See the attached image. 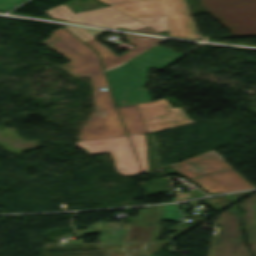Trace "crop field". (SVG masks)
I'll use <instances>...</instances> for the list:
<instances>
[{
  "label": "crop field",
  "mask_w": 256,
  "mask_h": 256,
  "mask_svg": "<svg viewBox=\"0 0 256 256\" xmlns=\"http://www.w3.org/2000/svg\"><path fill=\"white\" fill-rule=\"evenodd\" d=\"M42 43L72 62L60 65L75 77L91 75L95 109L78 135L80 141L126 135L106 86L97 53L79 41L64 28L56 30Z\"/></svg>",
  "instance_id": "obj_1"
},
{
  "label": "crop field",
  "mask_w": 256,
  "mask_h": 256,
  "mask_svg": "<svg viewBox=\"0 0 256 256\" xmlns=\"http://www.w3.org/2000/svg\"><path fill=\"white\" fill-rule=\"evenodd\" d=\"M182 53L174 52L158 45L131 61L106 71L117 106L150 101L147 89H138L146 81V70L159 69L177 59Z\"/></svg>",
  "instance_id": "obj_2"
},
{
  "label": "crop field",
  "mask_w": 256,
  "mask_h": 256,
  "mask_svg": "<svg viewBox=\"0 0 256 256\" xmlns=\"http://www.w3.org/2000/svg\"><path fill=\"white\" fill-rule=\"evenodd\" d=\"M131 16L167 15L168 33L173 36L193 38L185 0H100Z\"/></svg>",
  "instance_id": "obj_3"
},
{
  "label": "crop field",
  "mask_w": 256,
  "mask_h": 256,
  "mask_svg": "<svg viewBox=\"0 0 256 256\" xmlns=\"http://www.w3.org/2000/svg\"><path fill=\"white\" fill-rule=\"evenodd\" d=\"M76 143L89 155L111 153L117 172L124 176L142 173L127 136Z\"/></svg>",
  "instance_id": "obj_4"
},
{
  "label": "crop field",
  "mask_w": 256,
  "mask_h": 256,
  "mask_svg": "<svg viewBox=\"0 0 256 256\" xmlns=\"http://www.w3.org/2000/svg\"><path fill=\"white\" fill-rule=\"evenodd\" d=\"M216 224L222 228L211 242L209 256H250L242 241L236 206L219 215Z\"/></svg>",
  "instance_id": "obj_5"
},
{
  "label": "crop field",
  "mask_w": 256,
  "mask_h": 256,
  "mask_svg": "<svg viewBox=\"0 0 256 256\" xmlns=\"http://www.w3.org/2000/svg\"><path fill=\"white\" fill-rule=\"evenodd\" d=\"M52 18L64 19L73 22L99 25L105 27H121L130 30L145 27L147 25L130 18L111 7L83 11L75 14L64 4L46 11Z\"/></svg>",
  "instance_id": "obj_6"
},
{
  "label": "crop field",
  "mask_w": 256,
  "mask_h": 256,
  "mask_svg": "<svg viewBox=\"0 0 256 256\" xmlns=\"http://www.w3.org/2000/svg\"><path fill=\"white\" fill-rule=\"evenodd\" d=\"M115 224L97 223L89 226L87 233H101L99 243L106 250L108 256H125L122 250H118L125 246L126 252L133 249L141 250L144 243L145 253H150L159 247L163 246L169 241H151V242H135V243H125L128 231L131 225H124L123 229L118 231H110L113 229Z\"/></svg>",
  "instance_id": "obj_7"
},
{
  "label": "crop field",
  "mask_w": 256,
  "mask_h": 256,
  "mask_svg": "<svg viewBox=\"0 0 256 256\" xmlns=\"http://www.w3.org/2000/svg\"><path fill=\"white\" fill-rule=\"evenodd\" d=\"M148 132L192 123L181 108H172L165 99L137 104Z\"/></svg>",
  "instance_id": "obj_8"
},
{
  "label": "crop field",
  "mask_w": 256,
  "mask_h": 256,
  "mask_svg": "<svg viewBox=\"0 0 256 256\" xmlns=\"http://www.w3.org/2000/svg\"><path fill=\"white\" fill-rule=\"evenodd\" d=\"M234 35H256V2L208 10Z\"/></svg>",
  "instance_id": "obj_9"
},
{
  "label": "crop field",
  "mask_w": 256,
  "mask_h": 256,
  "mask_svg": "<svg viewBox=\"0 0 256 256\" xmlns=\"http://www.w3.org/2000/svg\"><path fill=\"white\" fill-rule=\"evenodd\" d=\"M208 193L231 192L254 188L233 169L190 179Z\"/></svg>",
  "instance_id": "obj_10"
},
{
  "label": "crop field",
  "mask_w": 256,
  "mask_h": 256,
  "mask_svg": "<svg viewBox=\"0 0 256 256\" xmlns=\"http://www.w3.org/2000/svg\"><path fill=\"white\" fill-rule=\"evenodd\" d=\"M179 217L181 214L176 204L154 206L150 226L133 225L126 242L158 240L163 229L159 225L160 219L178 221Z\"/></svg>",
  "instance_id": "obj_11"
},
{
  "label": "crop field",
  "mask_w": 256,
  "mask_h": 256,
  "mask_svg": "<svg viewBox=\"0 0 256 256\" xmlns=\"http://www.w3.org/2000/svg\"><path fill=\"white\" fill-rule=\"evenodd\" d=\"M125 35H126V41L134 45L135 47L118 57L114 55L110 50H108L96 39L91 41H86L85 43H87L89 46H91L93 49H95L99 53L104 68L108 69L146 50L150 46L160 41L159 39L140 37V36H134V35H128V34H125Z\"/></svg>",
  "instance_id": "obj_12"
},
{
  "label": "crop field",
  "mask_w": 256,
  "mask_h": 256,
  "mask_svg": "<svg viewBox=\"0 0 256 256\" xmlns=\"http://www.w3.org/2000/svg\"><path fill=\"white\" fill-rule=\"evenodd\" d=\"M230 167L231 166L227 162H217L198 156L183 160L181 172L187 178H190Z\"/></svg>",
  "instance_id": "obj_13"
},
{
  "label": "crop field",
  "mask_w": 256,
  "mask_h": 256,
  "mask_svg": "<svg viewBox=\"0 0 256 256\" xmlns=\"http://www.w3.org/2000/svg\"><path fill=\"white\" fill-rule=\"evenodd\" d=\"M237 206L246 211L242 216L243 229L246 232L248 245L256 256V194Z\"/></svg>",
  "instance_id": "obj_14"
},
{
  "label": "crop field",
  "mask_w": 256,
  "mask_h": 256,
  "mask_svg": "<svg viewBox=\"0 0 256 256\" xmlns=\"http://www.w3.org/2000/svg\"><path fill=\"white\" fill-rule=\"evenodd\" d=\"M128 135L148 133L135 105L117 107Z\"/></svg>",
  "instance_id": "obj_15"
},
{
  "label": "crop field",
  "mask_w": 256,
  "mask_h": 256,
  "mask_svg": "<svg viewBox=\"0 0 256 256\" xmlns=\"http://www.w3.org/2000/svg\"><path fill=\"white\" fill-rule=\"evenodd\" d=\"M131 142L134 145L139 163L143 169V172L147 170V157H146V141L144 135H132L130 136ZM135 151V152H136Z\"/></svg>",
  "instance_id": "obj_16"
},
{
  "label": "crop field",
  "mask_w": 256,
  "mask_h": 256,
  "mask_svg": "<svg viewBox=\"0 0 256 256\" xmlns=\"http://www.w3.org/2000/svg\"><path fill=\"white\" fill-rule=\"evenodd\" d=\"M157 31L167 30L166 16L135 18Z\"/></svg>",
  "instance_id": "obj_17"
},
{
  "label": "crop field",
  "mask_w": 256,
  "mask_h": 256,
  "mask_svg": "<svg viewBox=\"0 0 256 256\" xmlns=\"http://www.w3.org/2000/svg\"><path fill=\"white\" fill-rule=\"evenodd\" d=\"M201 5L205 8H213L218 6H224V5H232V4H240V3H246V2H252L256 0H200Z\"/></svg>",
  "instance_id": "obj_18"
},
{
  "label": "crop field",
  "mask_w": 256,
  "mask_h": 256,
  "mask_svg": "<svg viewBox=\"0 0 256 256\" xmlns=\"http://www.w3.org/2000/svg\"><path fill=\"white\" fill-rule=\"evenodd\" d=\"M64 27L67 28L69 31H71L73 34H75L77 37H79L83 41L91 40L92 39L90 37L91 35L103 32L99 30H92V29H85V28H78V27H69V26H64Z\"/></svg>",
  "instance_id": "obj_19"
},
{
  "label": "crop field",
  "mask_w": 256,
  "mask_h": 256,
  "mask_svg": "<svg viewBox=\"0 0 256 256\" xmlns=\"http://www.w3.org/2000/svg\"><path fill=\"white\" fill-rule=\"evenodd\" d=\"M152 206L147 207V210H141L138 217L134 218L133 223L148 224L150 222Z\"/></svg>",
  "instance_id": "obj_20"
},
{
  "label": "crop field",
  "mask_w": 256,
  "mask_h": 256,
  "mask_svg": "<svg viewBox=\"0 0 256 256\" xmlns=\"http://www.w3.org/2000/svg\"><path fill=\"white\" fill-rule=\"evenodd\" d=\"M22 0H0V10L6 11L16 4L20 3Z\"/></svg>",
  "instance_id": "obj_21"
},
{
  "label": "crop field",
  "mask_w": 256,
  "mask_h": 256,
  "mask_svg": "<svg viewBox=\"0 0 256 256\" xmlns=\"http://www.w3.org/2000/svg\"><path fill=\"white\" fill-rule=\"evenodd\" d=\"M201 156H203V157H205V158L217 160V161H225V160L222 159L218 154H216L214 151L205 153V154H203V155H201Z\"/></svg>",
  "instance_id": "obj_22"
},
{
  "label": "crop field",
  "mask_w": 256,
  "mask_h": 256,
  "mask_svg": "<svg viewBox=\"0 0 256 256\" xmlns=\"http://www.w3.org/2000/svg\"><path fill=\"white\" fill-rule=\"evenodd\" d=\"M135 31H141V32H147V33H154V34L163 35V34H161V33L157 32V31L153 30L152 28H150V27H148V26L145 27V28L137 29V30H135Z\"/></svg>",
  "instance_id": "obj_23"
},
{
  "label": "crop field",
  "mask_w": 256,
  "mask_h": 256,
  "mask_svg": "<svg viewBox=\"0 0 256 256\" xmlns=\"http://www.w3.org/2000/svg\"><path fill=\"white\" fill-rule=\"evenodd\" d=\"M171 167L175 168L176 170L180 171L181 161L175 164L170 165Z\"/></svg>",
  "instance_id": "obj_24"
}]
</instances>
